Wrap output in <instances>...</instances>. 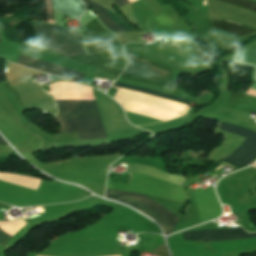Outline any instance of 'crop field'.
Instances as JSON below:
<instances>
[{
	"mask_svg": "<svg viewBox=\"0 0 256 256\" xmlns=\"http://www.w3.org/2000/svg\"><path fill=\"white\" fill-rule=\"evenodd\" d=\"M57 119H101L95 101L56 103ZM62 132H76L79 139L107 137L101 120H59Z\"/></svg>",
	"mask_w": 256,
	"mask_h": 256,
	"instance_id": "obj_1",
	"label": "crop field"
},
{
	"mask_svg": "<svg viewBox=\"0 0 256 256\" xmlns=\"http://www.w3.org/2000/svg\"><path fill=\"white\" fill-rule=\"evenodd\" d=\"M38 42H41L59 53L69 57L68 55L84 53L81 46L80 36L65 28L55 25L37 24Z\"/></svg>",
	"mask_w": 256,
	"mask_h": 256,
	"instance_id": "obj_3",
	"label": "crop field"
},
{
	"mask_svg": "<svg viewBox=\"0 0 256 256\" xmlns=\"http://www.w3.org/2000/svg\"><path fill=\"white\" fill-rule=\"evenodd\" d=\"M106 198L128 204L156 220L169 235L179 218L151 198L135 193L107 190Z\"/></svg>",
	"mask_w": 256,
	"mask_h": 256,
	"instance_id": "obj_2",
	"label": "crop field"
},
{
	"mask_svg": "<svg viewBox=\"0 0 256 256\" xmlns=\"http://www.w3.org/2000/svg\"><path fill=\"white\" fill-rule=\"evenodd\" d=\"M52 2L56 10L73 18H79L86 10L81 0H52Z\"/></svg>",
	"mask_w": 256,
	"mask_h": 256,
	"instance_id": "obj_9",
	"label": "crop field"
},
{
	"mask_svg": "<svg viewBox=\"0 0 256 256\" xmlns=\"http://www.w3.org/2000/svg\"><path fill=\"white\" fill-rule=\"evenodd\" d=\"M0 145H7L1 136H0Z\"/></svg>",
	"mask_w": 256,
	"mask_h": 256,
	"instance_id": "obj_19",
	"label": "crop field"
},
{
	"mask_svg": "<svg viewBox=\"0 0 256 256\" xmlns=\"http://www.w3.org/2000/svg\"><path fill=\"white\" fill-rule=\"evenodd\" d=\"M228 107L256 112V98L240 93H231Z\"/></svg>",
	"mask_w": 256,
	"mask_h": 256,
	"instance_id": "obj_10",
	"label": "crop field"
},
{
	"mask_svg": "<svg viewBox=\"0 0 256 256\" xmlns=\"http://www.w3.org/2000/svg\"><path fill=\"white\" fill-rule=\"evenodd\" d=\"M212 25L215 27H218L220 29H223L225 31L235 33V34H238L241 36H244V35H247L249 33H253L256 31L249 27L237 25L232 22H225L223 20H212Z\"/></svg>",
	"mask_w": 256,
	"mask_h": 256,
	"instance_id": "obj_12",
	"label": "crop field"
},
{
	"mask_svg": "<svg viewBox=\"0 0 256 256\" xmlns=\"http://www.w3.org/2000/svg\"><path fill=\"white\" fill-rule=\"evenodd\" d=\"M221 1L229 3V4L237 5L240 7H244V8L250 9L252 11H256V2L255 1H251V0H221Z\"/></svg>",
	"mask_w": 256,
	"mask_h": 256,
	"instance_id": "obj_14",
	"label": "crop field"
},
{
	"mask_svg": "<svg viewBox=\"0 0 256 256\" xmlns=\"http://www.w3.org/2000/svg\"><path fill=\"white\" fill-rule=\"evenodd\" d=\"M113 86L119 87L122 89H126V90H131V91L147 94V95L164 98V99H169V100H173V101H177V102H181V103H185V104H190V102H191L190 100H186V99H182V98H178V97H174V96H170V95H166V94H162V93H158V92H153V91H149V90H145V89H141V88H137V87L121 84V83H114ZM115 89H117V88H115Z\"/></svg>",
	"mask_w": 256,
	"mask_h": 256,
	"instance_id": "obj_13",
	"label": "crop field"
},
{
	"mask_svg": "<svg viewBox=\"0 0 256 256\" xmlns=\"http://www.w3.org/2000/svg\"><path fill=\"white\" fill-rule=\"evenodd\" d=\"M11 238V236L5 234L0 230V245L4 246L6 245L7 241Z\"/></svg>",
	"mask_w": 256,
	"mask_h": 256,
	"instance_id": "obj_17",
	"label": "crop field"
},
{
	"mask_svg": "<svg viewBox=\"0 0 256 256\" xmlns=\"http://www.w3.org/2000/svg\"><path fill=\"white\" fill-rule=\"evenodd\" d=\"M161 34L165 38H167L170 42L175 43V44L181 46V48H183L184 51H186V52L192 54L193 56L199 58L200 60L210 64V61H211L210 57L202 54L201 52L197 51L193 47L189 46L172 29L163 31V32H161Z\"/></svg>",
	"mask_w": 256,
	"mask_h": 256,
	"instance_id": "obj_11",
	"label": "crop field"
},
{
	"mask_svg": "<svg viewBox=\"0 0 256 256\" xmlns=\"http://www.w3.org/2000/svg\"><path fill=\"white\" fill-rule=\"evenodd\" d=\"M115 3L120 7L122 5H125V4H129V1L128 0H114Z\"/></svg>",
	"mask_w": 256,
	"mask_h": 256,
	"instance_id": "obj_18",
	"label": "crop field"
},
{
	"mask_svg": "<svg viewBox=\"0 0 256 256\" xmlns=\"http://www.w3.org/2000/svg\"><path fill=\"white\" fill-rule=\"evenodd\" d=\"M87 4V6L91 7L92 11L96 13V15L98 16V18L100 19V21L109 29H111L112 31H133V29L116 13L107 10L105 8V10L110 14V16L112 17V19L119 24L120 26H124L125 30L123 28H121L119 25H117L112 19L111 17L108 15V13L104 10V8L102 6H100L99 4L91 1V0H84Z\"/></svg>",
	"mask_w": 256,
	"mask_h": 256,
	"instance_id": "obj_8",
	"label": "crop field"
},
{
	"mask_svg": "<svg viewBox=\"0 0 256 256\" xmlns=\"http://www.w3.org/2000/svg\"><path fill=\"white\" fill-rule=\"evenodd\" d=\"M239 60L246 61L249 63L256 64V48L241 57Z\"/></svg>",
	"mask_w": 256,
	"mask_h": 256,
	"instance_id": "obj_16",
	"label": "crop field"
},
{
	"mask_svg": "<svg viewBox=\"0 0 256 256\" xmlns=\"http://www.w3.org/2000/svg\"><path fill=\"white\" fill-rule=\"evenodd\" d=\"M153 18L156 19L163 26L176 23L171 18H169L166 14H164L163 12H161L160 14H158L157 16H155Z\"/></svg>",
	"mask_w": 256,
	"mask_h": 256,
	"instance_id": "obj_15",
	"label": "crop field"
},
{
	"mask_svg": "<svg viewBox=\"0 0 256 256\" xmlns=\"http://www.w3.org/2000/svg\"><path fill=\"white\" fill-rule=\"evenodd\" d=\"M220 130L229 131L256 142L255 132L238 127L236 125L225 124L220 122ZM247 139H245L242 145L232 155L224 159L231 161L235 164H238L240 166L253 160L254 156L256 155V143L249 141Z\"/></svg>",
	"mask_w": 256,
	"mask_h": 256,
	"instance_id": "obj_4",
	"label": "crop field"
},
{
	"mask_svg": "<svg viewBox=\"0 0 256 256\" xmlns=\"http://www.w3.org/2000/svg\"><path fill=\"white\" fill-rule=\"evenodd\" d=\"M183 234L185 240L196 241L232 240L256 237V233L248 234L242 228L227 230L192 231L183 232Z\"/></svg>",
	"mask_w": 256,
	"mask_h": 256,
	"instance_id": "obj_7",
	"label": "crop field"
},
{
	"mask_svg": "<svg viewBox=\"0 0 256 256\" xmlns=\"http://www.w3.org/2000/svg\"><path fill=\"white\" fill-rule=\"evenodd\" d=\"M49 23H52V24H54V21H49Z\"/></svg>",
	"mask_w": 256,
	"mask_h": 256,
	"instance_id": "obj_20",
	"label": "crop field"
},
{
	"mask_svg": "<svg viewBox=\"0 0 256 256\" xmlns=\"http://www.w3.org/2000/svg\"><path fill=\"white\" fill-rule=\"evenodd\" d=\"M192 194L199 212L201 223L220 216L222 209L213 187L207 189L205 192L198 188L193 191Z\"/></svg>",
	"mask_w": 256,
	"mask_h": 256,
	"instance_id": "obj_5",
	"label": "crop field"
},
{
	"mask_svg": "<svg viewBox=\"0 0 256 256\" xmlns=\"http://www.w3.org/2000/svg\"><path fill=\"white\" fill-rule=\"evenodd\" d=\"M17 63L37 69V70H41L53 75H57L69 80H73L79 83H81L85 75L84 73L77 72V71H74L65 67H61L49 62H45L33 57H29L23 54L19 55Z\"/></svg>",
	"mask_w": 256,
	"mask_h": 256,
	"instance_id": "obj_6",
	"label": "crop field"
}]
</instances>
